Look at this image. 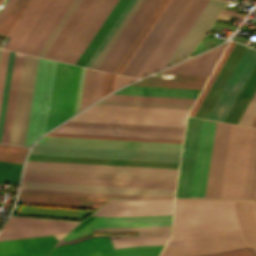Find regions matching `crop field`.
I'll use <instances>...</instances> for the list:
<instances>
[{
	"mask_svg": "<svg viewBox=\"0 0 256 256\" xmlns=\"http://www.w3.org/2000/svg\"><path fill=\"white\" fill-rule=\"evenodd\" d=\"M191 107L184 104L101 100L71 120L184 126ZM78 121H68L51 132L182 140L184 130V127L175 126Z\"/></svg>",
	"mask_w": 256,
	"mask_h": 256,
	"instance_id": "obj_1",
	"label": "crop field"
},
{
	"mask_svg": "<svg viewBox=\"0 0 256 256\" xmlns=\"http://www.w3.org/2000/svg\"><path fill=\"white\" fill-rule=\"evenodd\" d=\"M216 121L204 119L191 197H204ZM231 124L217 121L205 197L219 198ZM251 127L232 124L220 198H241Z\"/></svg>",
	"mask_w": 256,
	"mask_h": 256,
	"instance_id": "obj_2",
	"label": "crop field"
},
{
	"mask_svg": "<svg viewBox=\"0 0 256 256\" xmlns=\"http://www.w3.org/2000/svg\"><path fill=\"white\" fill-rule=\"evenodd\" d=\"M243 229L174 235L160 256H196L252 246L256 251V226L250 200L235 199ZM252 247L203 256H256Z\"/></svg>",
	"mask_w": 256,
	"mask_h": 256,
	"instance_id": "obj_3",
	"label": "crop field"
},
{
	"mask_svg": "<svg viewBox=\"0 0 256 256\" xmlns=\"http://www.w3.org/2000/svg\"><path fill=\"white\" fill-rule=\"evenodd\" d=\"M238 228L234 199H175L172 235Z\"/></svg>",
	"mask_w": 256,
	"mask_h": 256,
	"instance_id": "obj_4",
	"label": "crop field"
},
{
	"mask_svg": "<svg viewBox=\"0 0 256 256\" xmlns=\"http://www.w3.org/2000/svg\"><path fill=\"white\" fill-rule=\"evenodd\" d=\"M31 154L179 162L180 152L35 144Z\"/></svg>",
	"mask_w": 256,
	"mask_h": 256,
	"instance_id": "obj_5",
	"label": "crop field"
},
{
	"mask_svg": "<svg viewBox=\"0 0 256 256\" xmlns=\"http://www.w3.org/2000/svg\"><path fill=\"white\" fill-rule=\"evenodd\" d=\"M56 62L39 58L32 98L26 146L45 133ZM44 110V112H42Z\"/></svg>",
	"mask_w": 256,
	"mask_h": 256,
	"instance_id": "obj_6",
	"label": "crop field"
},
{
	"mask_svg": "<svg viewBox=\"0 0 256 256\" xmlns=\"http://www.w3.org/2000/svg\"><path fill=\"white\" fill-rule=\"evenodd\" d=\"M37 61V57L24 54L10 144L25 142Z\"/></svg>",
	"mask_w": 256,
	"mask_h": 256,
	"instance_id": "obj_7",
	"label": "crop field"
},
{
	"mask_svg": "<svg viewBox=\"0 0 256 256\" xmlns=\"http://www.w3.org/2000/svg\"><path fill=\"white\" fill-rule=\"evenodd\" d=\"M78 223L80 222L11 216L0 233V240L68 232Z\"/></svg>",
	"mask_w": 256,
	"mask_h": 256,
	"instance_id": "obj_8",
	"label": "crop field"
},
{
	"mask_svg": "<svg viewBox=\"0 0 256 256\" xmlns=\"http://www.w3.org/2000/svg\"><path fill=\"white\" fill-rule=\"evenodd\" d=\"M202 121L188 117L175 197H190Z\"/></svg>",
	"mask_w": 256,
	"mask_h": 256,
	"instance_id": "obj_9",
	"label": "crop field"
},
{
	"mask_svg": "<svg viewBox=\"0 0 256 256\" xmlns=\"http://www.w3.org/2000/svg\"><path fill=\"white\" fill-rule=\"evenodd\" d=\"M256 63V50L247 47L208 118L224 121L242 86Z\"/></svg>",
	"mask_w": 256,
	"mask_h": 256,
	"instance_id": "obj_10",
	"label": "crop field"
},
{
	"mask_svg": "<svg viewBox=\"0 0 256 256\" xmlns=\"http://www.w3.org/2000/svg\"><path fill=\"white\" fill-rule=\"evenodd\" d=\"M25 168L134 174V175H151V176H168V177H176L177 171H178V169H169V168H150V167L36 162V161H27Z\"/></svg>",
	"mask_w": 256,
	"mask_h": 256,
	"instance_id": "obj_11",
	"label": "crop field"
},
{
	"mask_svg": "<svg viewBox=\"0 0 256 256\" xmlns=\"http://www.w3.org/2000/svg\"><path fill=\"white\" fill-rule=\"evenodd\" d=\"M173 199L119 200L110 199L91 215L136 216L172 214Z\"/></svg>",
	"mask_w": 256,
	"mask_h": 256,
	"instance_id": "obj_12",
	"label": "crop field"
},
{
	"mask_svg": "<svg viewBox=\"0 0 256 256\" xmlns=\"http://www.w3.org/2000/svg\"><path fill=\"white\" fill-rule=\"evenodd\" d=\"M226 3L218 0L208 2L164 67L188 57Z\"/></svg>",
	"mask_w": 256,
	"mask_h": 256,
	"instance_id": "obj_13",
	"label": "crop field"
},
{
	"mask_svg": "<svg viewBox=\"0 0 256 256\" xmlns=\"http://www.w3.org/2000/svg\"><path fill=\"white\" fill-rule=\"evenodd\" d=\"M22 181L174 189L176 182L24 174Z\"/></svg>",
	"mask_w": 256,
	"mask_h": 256,
	"instance_id": "obj_14",
	"label": "crop field"
},
{
	"mask_svg": "<svg viewBox=\"0 0 256 256\" xmlns=\"http://www.w3.org/2000/svg\"><path fill=\"white\" fill-rule=\"evenodd\" d=\"M208 1L194 0L142 76L163 68Z\"/></svg>",
	"mask_w": 256,
	"mask_h": 256,
	"instance_id": "obj_15",
	"label": "crop field"
},
{
	"mask_svg": "<svg viewBox=\"0 0 256 256\" xmlns=\"http://www.w3.org/2000/svg\"><path fill=\"white\" fill-rule=\"evenodd\" d=\"M169 236H110L116 256H157Z\"/></svg>",
	"mask_w": 256,
	"mask_h": 256,
	"instance_id": "obj_16",
	"label": "crop field"
},
{
	"mask_svg": "<svg viewBox=\"0 0 256 256\" xmlns=\"http://www.w3.org/2000/svg\"><path fill=\"white\" fill-rule=\"evenodd\" d=\"M245 49L246 46L235 43L224 65L197 110L195 114L196 117L207 118Z\"/></svg>",
	"mask_w": 256,
	"mask_h": 256,
	"instance_id": "obj_17",
	"label": "crop field"
},
{
	"mask_svg": "<svg viewBox=\"0 0 256 256\" xmlns=\"http://www.w3.org/2000/svg\"><path fill=\"white\" fill-rule=\"evenodd\" d=\"M110 198L19 193L17 203L96 209Z\"/></svg>",
	"mask_w": 256,
	"mask_h": 256,
	"instance_id": "obj_18",
	"label": "crop field"
},
{
	"mask_svg": "<svg viewBox=\"0 0 256 256\" xmlns=\"http://www.w3.org/2000/svg\"><path fill=\"white\" fill-rule=\"evenodd\" d=\"M57 241L53 235L0 241V256H46Z\"/></svg>",
	"mask_w": 256,
	"mask_h": 256,
	"instance_id": "obj_19",
	"label": "crop field"
},
{
	"mask_svg": "<svg viewBox=\"0 0 256 256\" xmlns=\"http://www.w3.org/2000/svg\"><path fill=\"white\" fill-rule=\"evenodd\" d=\"M20 188L173 196L174 190L22 182Z\"/></svg>",
	"mask_w": 256,
	"mask_h": 256,
	"instance_id": "obj_20",
	"label": "crop field"
},
{
	"mask_svg": "<svg viewBox=\"0 0 256 256\" xmlns=\"http://www.w3.org/2000/svg\"><path fill=\"white\" fill-rule=\"evenodd\" d=\"M69 0H51L18 52L32 55Z\"/></svg>",
	"mask_w": 256,
	"mask_h": 256,
	"instance_id": "obj_21",
	"label": "crop field"
},
{
	"mask_svg": "<svg viewBox=\"0 0 256 256\" xmlns=\"http://www.w3.org/2000/svg\"><path fill=\"white\" fill-rule=\"evenodd\" d=\"M81 243L55 248L48 256H114V248L108 236H89Z\"/></svg>",
	"mask_w": 256,
	"mask_h": 256,
	"instance_id": "obj_22",
	"label": "crop field"
},
{
	"mask_svg": "<svg viewBox=\"0 0 256 256\" xmlns=\"http://www.w3.org/2000/svg\"><path fill=\"white\" fill-rule=\"evenodd\" d=\"M28 160L74 162V163H93V164H112V165H131V166H150V167H169V168H178V164H179V163H170V162L76 158V157L39 156V155H30Z\"/></svg>",
	"mask_w": 256,
	"mask_h": 256,
	"instance_id": "obj_23",
	"label": "crop field"
},
{
	"mask_svg": "<svg viewBox=\"0 0 256 256\" xmlns=\"http://www.w3.org/2000/svg\"><path fill=\"white\" fill-rule=\"evenodd\" d=\"M68 67L67 64L57 62L46 131L59 124Z\"/></svg>",
	"mask_w": 256,
	"mask_h": 256,
	"instance_id": "obj_24",
	"label": "crop field"
},
{
	"mask_svg": "<svg viewBox=\"0 0 256 256\" xmlns=\"http://www.w3.org/2000/svg\"><path fill=\"white\" fill-rule=\"evenodd\" d=\"M130 0H119L110 14L107 16L103 24L100 26L96 34L93 36L87 47L84 49L80 57L75 62L76 65L85 66L98 45L101 43L107 32L110 30L114 22L117 20L121 12L124 10ZM89 62V61H88ZM87 65V64H86Z\"/></svg>",
	"mask_w": 256,
	"mask_h": 256,
	"instance_id": "obj_25",
	"label": "crop field"
},
{
	"mask_svg": "<svg viewBox=\"0 0 256 256\" xmlns=\"http://www.w3.org/2000/svg\"><path fill=\"white\" fill-rule=\"evenodd\" d=\"M23 54L15 52L1 143L9 144Z\"/></svg>",
	"mask_w": 256,
	"mask_h": 256,
	"instance_id": "obj_26",
	"label": "crop field"
},
{
	"mask_svg": "<svg viewBox=\"0 0 256 256\" xmlns=\"http://www.w3.org/2000/svg\"><path fill=\"white\" fill-rule=\"evenodd\" d=\"M117 0H106L102 5L98 13L95 15L91 23L88 25L86 30L83 32L79 40L76 42L70 53L65 58L64 62L72 63L76 61L85 46L88 44L96 30L99 28L105 17L108 15L112 7L115 5Z\"/></svg>",
	"mask_w": 256,
	"mask_h": 256,
	"instance_id": "obj_27",
	"label": "crop field"
},
{
	"mask_svg": "<svg viewBox=\"0 0 256 256\" xmlns=\"http://www.w3.org/2000/svg\"><path fill=\"white\" fill-rule=\"evenodd\" d=\"M207 77L175 75L174 80L149 76L132 85L202 89Z\"/></svg>",
	"mask_w": 256,
	"mask_h": 256,
	"instance_id": "obj_28",
	"label": "crop field"
},
{
	"mask_svg": "<svg viewBox=\"0 0 256 256\" xmlns=\"http://www.w3.org/2000/svg\"><path fill=\"white\" fill-rule=\"evenodd\" d=\"M161 0H151L142 15L139 17L131 31L128 33L120 47L117 49L109 63L104 68L105 71L112 72L114 67L117 65L123 54L126 52L132 41L135 39L143 25L146 23L152 12L155 10ZM116 68V67H115Z\"/></svg>",
	"mask_w": 256,
	"mask_h": 256,
	"instance_id": "obj_29",
	"label": "crop field"
},
{
	"mask_svg": "<svg viewBox=\"0 0 256 256\" xmlns=\"http://www.w3.org/2000/svg\"><path fill=\"white\" fill-rule=\"evenodd\" d=\"M105 0H93L80 21L77 23L63 46L60 48L56 56L54 57L55 60L63 61L66 57L70 49L73 47L75 42L78 40L82 32L85 30L89 22L92 20L94 15L97 13L101 5L104 3ZM72 50V49H71ZM70 53V52H69ZM65 60V59H64Z\"/></svg>",
	"mask_w": 256,
	"mask_h": 256,
	"instance_id": "obj_30",
	"label": "crop field"
},
{
	"mask_svg": "<svg viewBox=\"0 0 256 256\" xmlns=\"http://www.w3.org/2000/svg\"><path fill=\"white\" fill-rule=\"evenodd\" d=\"M179 1L180 0H171L168 3V5L164 9L158 20L156 21V23L153 25V27L151 28L143 42L140 44V46L138 47V49L136 50L128 64L125 66L121 74L129 75L131 70L134 68L140 57L143 55V53L145 52L149 44L152 42V40L154 39L160 28L163 26V24L165 23L169 15L172 13V11L174 10Z\"/></svg>",
	"mask_w": 256,
	"mask_h": 256,
	"instance_id": "obj_31",
	"label": "crop field"
},
{
	"mask_svg": "<svg viewBox=\"0 0 256 256\" xmlns=\"http://www.w3.org/2000/svg\"><path fill=\"white\" fill-rule=\"evenodd\" d=\"M200 90L128 86L115 93L197 98Z\"/></svg>",
	"mask_w": 256,
	"mask_h": 256,
	"instance_id": "obj_32",
	"label": "crop field"
},
{
	"mask_svg": "<svg viewBox=\"0 0 256 256\" xmlns=\"http://www.w3.org/2000/svg\"><path fill=\"white\" fill-rule=\"evenodd\" d=\"M226 45L227 43L209 52L183 61L171 68L212 71L215 63L217 62Z\"/></svg>",
	"mask_w": 256,
	"mask_h": 256,
	"instance_id": "obj_33",
	"label": "crop field"
},
{
	"mask_svg": "<svg viewBox=\"0 0 256 256\" xmlns=\"http://www.w3.org/2000/svg\"><path fill=\"white\" fill-rule=\"evenodd\" d=\"M80 69L81 67H78V66L70 65L69 67V73H68V79H67V85H66V91H65V97H64V103H63L60 122H62L63 120L73 115Z\"/></svg>",
	"mask_w": 256,
	"mask_h": 256,
	"instance_id": "obj_34",
	"label": "crop field"
},
{
	"mask_svg": "<svg viewBox=\"0 0 256 256\" xmlns=\"http://www.w3.org/2000/svg\"><path fill=\"white\" fill-rule=\"evenodd\" d=\"M169 1L170 0H162L160 2L158 7L153 12L147 23L144 25V27L142 28L136 39L133 41L127 52L124 54L116 68L113 70V73L120 74L124 66L127 64L129 59L131 58V56L133 55L139 44L142 42V40L144 39V37L146 36V34L148 33L152 25L155 23V21L157 20V18L159 17V15L161 14V12L163 11V9L165 8Z\"/></svg>",
	"mask_w": 256,
	"mask_h": 256,
	"instance_id": "obj_35",
	"label": "crop field"
},
{
	"mask_svg": "<svg viewBox=\"0 0 256 256\" xmlns=\"http://www.w3.org/2000/svg\"><path fill=\"white\" fill-rule=\"evenodd\" d=\"M91 1L92 0L81 1V3L79 4L75 12L72 14L70 19L68 20V22L66 23L62 31L60 32V34L57 36V38L55 39V41L53 42L49 50L44 55V57L53 59V57L55 56L59 48L62 46V44L64 43V41L66 40V38L68 37L72 29L74 28L78 20L81 18V16L85 12L89 4L91 3Z\"/></svg>",
	"mask_w": 256,
	"mask_h": 256,
	"instance_id": "obj_36",
	"label": "crop field"
},
{
	"mask_svg": "<svg viewBox=\"0 0 256 256\" xmlns=\"http://www.w3.org/2000/svg\"><path fill=\"white\" fill-rule=\"evenodd\" d=\"M242 198L256 199V128L253 130Z\"/></svg>",
	"mask_w": 256,
	"mask_h": 256,
	"instance_id": "obj_37",
	"label": "crop field"
},
{
	"mask_svg": "<svg viewBox=\"0 0 256 256\" xmlns=\"http://www.w3.org/2000/svg\"><path fill=\"white\" fill-rule=\"evenodd\" d=\"M24 173L176 181V178L25 169Z\"/></svg>",
	"mask_w": 256,
	"mask_h": 256,
	"instance_id": "obj_38",
	"label": "crop field"
},
{
	"mask_svg": "<svg viewBox=\"0 0 256 256\" xmlns=\"http://www.w3.org/2000/svg\"><path fill=\"white\" fill-rule=\"evenodd\" d=\"M187 1L188 0H181L179 2V4L177 5V7L173 11V13L170 15V17L168 18V20L166 21L164 26L161 28V30L159 31V33L157 34V36L155 37L153 42L150 44V46L148 47V49L146 50V52L144 53L142 58L139 60V62L137 63V65L135 66V68L133 69V71L131 72L130 75L136 76L138 71L141 69V67L143 66V64L147 60V58L150 56V54L152 53V51L154 50L156 45L159 43V41L161 40V38L163 37V35L167 31V29L170 27V25L172 24V22L174 21V19L179 14V12L181 11V9L183 8V6L185 5V3Z\"/></svg>",
	"mask_w": 256,
	"mask_h": 256,
	"instance_id": "obj_39",
	"label": "crop field"
},
{
	"mask_svg": "<svg viewBox=\"0 0 256 256\" xmlns=\"http://www.w3.org/2000/svg\"><path fill=\"white\" fill-rule=\"evenodd\" d=\"M80 1L81 0H73L71 2V4L67 8V10L63 14V16L60 18V20L58 21V23L56 24V26L54 27L52 32L49 34V36L47 37V39L45 40V42L43 43V45L39 49V51L36 53L37 56L43 57V55L45 54L47 49L50 47V45L52 44V42L54 41V39L56 38L58 33L61 31V29L63 28V26L65 25V23L67 22V20L71 16V14L74 12V10L76 9V7L80 3Z\"/></svg>",
	"mask_w": 256,
	"mask_h": 256,
	"instance_id": "obj_40",
	"label": "crop field"
},
{
	"mask_svg": "<svg viewBox=\"0 0 256 256\" xmlns=\"http://www.w3.org/2000/svg\"><path fill=\"white\" fill-rule=\"evenodd\" d=\"M150 0H143V2L141 3V5L139 6V8L137 9V11L135 12V14L132 16V18L130 19V21L128 22V24L126 25V27L124 28V30L121 32V34L119 35V37L117 38V40L115 41V43L113 44V46L110 48V50L108 51V53L106 54V56L104 57V59L102 60V62L99 64V66L97 67V69L99 70H103V68L105 67V65L107 64V62L110 60V58L112 57V55L114 54V52L116 51V49L118 48V46L121 44V42L123 41V39L125 38V36L127 35V33L129 32V30L132 28V26L134 25V23L136 22V20L138 19V17L140 16V14L143 12V10L145 9V7L147 6V4L149 3Z\"/></svg>",
	"mask_w": 256,
	"mask_h": 256,
	"instance_id": "obj_41",
	"label": "crop field"
},
{
	"mask_svg": "<svg viewBox=\"0 0 256 256\" xmlns=\"http://www.w3.org/2000/svg\"><path fill=\"white\" fill-rule=\"evenodd\" d=\"M31 1L32 0H19L17 2L11 13L0 27V34L8 36Z\"/></svg>",
	"mask_w": 256,
	"mask_h": 256,
	"instance_id": "obj_42",
	"label": "crop field"
},
{
	"mask_svg": "<svg viewBox=\"0 0 256 256\" xmlns=\"http://www.w3.org/2000/svg\"><path fill=\"white\" fill-rule=\"evenodd\" d=\"M171 226L131 227V228H96L95 231L128 232L139 231L140 235H169Z\"/></svg>",
	"mask_w": 256,
	"mask_h": 256,
	"instance_id": "obj_43",
	"label": "crop field"
},
{
	"mask_svg": "<svg viewBox=\"0 0 256 256\" xmlns=\"http://www.w3.org/2000/svg\"><path fill=\"white\" fill-rule=\"evenodd\" d=\"M142 2V0H137L135 2V4L132 6V8L130 9V11L128 12V14L126 15V17L123 19V21L121 22V24L119 25V27L116 29V31L114 32V34L112 35V37L109 39V41L107 42V44L105 45V47L103 48V50L100 52V54L98 55V57L96 58V60L93 62V64L91 65V68L96 69V67L98 66V64L100 63V61L103 59V57L105 56V54L107 53V51L109 50V48L111 47V45L114 43V41L116 40V38L118 37V35L120 34V32L122 31V29L125 27V25L127 24V22L129 21V19L131 18V16L133 15V13L136 11V9L138 8V6L140 5V3Z\"/></svg>",
	"mask_w": 256,
	"mask_h": 256,
	"instance_id": "obj_44",
	"label": "crop field"
},
{
	"mask_svg": "<svg viewBox=\"0 0 256 256\" xmlns=\"http://www.w3.org/2000/svg\"><path fill=\"white\" fill-rule=\"evenodd\" d=\"M28 148L0 144V160L23 162Z\"/></svg>",
	"mask_w": 256,
	"mask_h": 256,
	"instance_id": "obj_45",
	"label": "crop field"
},
{
	"mask_svg": "<svg viewBox=\"0 0 256 256\" xmlns=\"http://www.w3.org/2000/svg\"><path fill=\"white\" fill-rule=\"evenodd\" d=\"M233 45H234V42H232V41H231V42L229 43V45H228L227 49L225 50V52H224L223 56L221 57V59H220L219 63L217 64V66H216L215 70L213 71V73H212V75H211L210 79L208 80V82H207L206 86L204 87V89H203L202 93L200 94V96H199L198 100L196 101V103H195L194 107L192 108V110H191V112H190V114H189V115L194 116V114H195L196 110L198 109V107H199L200 103L202 102V100H203V98H204L205 94L207 93V91H208L209 87L211 86V84H212L213 80L215 79V77H216L217 73L219 72V70H220L221 66L223 65V63H224V61H225L226 57L228 56V54H229L230 50H231V49H232V47H233Z\"/></svg>",
	"mask_w": 256,
	"mask_h": 256,
	"instance_id": "obj_46",
	"label": "crop field"
},
{
	"mask_svg": "<svg viewBox=\"0 0 256 256\" xmlns=\"http://www.w3.org/2000/svg\"><path fill=\"white\" fill-rule=\"evenodd\" d=\"M193 2V0H189L186 5L184 6V8L182 9V11L180 12V14L177 16V18L175 19V21L173 22V24L171 25V27L168 29V31L166 32V34L164 35V37L162 38V40L160 41V43L157 45V47L155 48V50L153 51V53L151 54V56L148 58V60L146 61V63L144 64V66L142 67V69L139 71V73L137 74L138 77H141V75L143 74V72L146 70V68L148 67V65L150 64V62L152 61V59L155 57V55L157 54V52L159 51V49L161 48V46L164 44V42L166 41V39L168 38V36L170 35V33L172 32V30L175 28V26L177 25V23L179 22V20L181 19V17L184 15V13L186 12V10L188 9V7L190 6V4Z\"/></svg>",
	"mask_w": 256,
	"mask_h": 256,
	"instance_id": "obj_47",
	"label": "crop field"
},
{
	"mask_svg": "<svg viewBox=\"0 0 256 256\" xmlns=\"http://www.w3.org/2000/svg\"><path fill=\"white\" fill-rule=\"evenodd\" d=\"M13 55H14V52L10 51L9 60H8V67H7V74H6V80H5V87H4V93H3V100H2V106H1V113H0V140H1V134H2V127H3V120H4L7 94H8V88H9V81H10Z\"/></svg>",
	"mask_w": 256,
	"mask_h": 256,
	"instance_id": "obj_48",
	"label": "crop field"
},
{
	"mask_svg": "<svg viewBox=\"0 0 256 256\" xmlns=\"http://www.w3.org/2000/svg\"><path fill=\"white\" fill-rule=\"evenodd\" d=\"M136 0H131L130 3L127 5V7L125 8V10L123 11V13L121 14V16L118 18V20L116 21V23L114 24V26L111 28V30L109 31V33L107 34V36L104 38V40L102 41V43L100 44V46L98 47V49L96 50V52L93 54V56L91 57V59L89 60V62L87 63V67H90V65L92 64V62L95 60V58L97 57V55L99 54V52L102 50V48L104 47V45L106 44V42L108 41V39L111 37V35L113 34V32L115 31V29L118 27V25L120 24V22L122 21V19L125 17V15L127 14V12L129 11V9L131 8V6L134 4Z\"/></svg>",
	"mask_w": 256,
	"mask_h": 256,
	"instance_id": "obj_49",
	"label": "crop field"
},
{
	"mask_svg": "<svg viewBox=\"0 0 256 256\" xmlns=\"http://www.w3.org/2000/svg\"><path fill=\"white\" fill-rule=\"evenodd\" d=\"M20 191H36V192L67 193V194L102 195V196L119 197V198H171V197H160V196H137V195H119V194H101V193L47 191V190H29V189H20Z\"/></svg>",
	"mask_w": 256,
	"mask_h": 256,
	"instance_id": "obj_50",
	"label": "crop field"
},
{
	"mask_svg": "<svg viewBox=\"0 0 256 256\" xmlns=\"http://www.w3.org/2000/svg\"><path fill=\"white\" fill-rule=\"evenodd\" d=\"M47 135H53V136H70V137H88V138H105V139H122V140H139V141H157V142H174V143H182V141H174V140H157V139H141V138H124V137L90 136V135H74V134H57V133H48Z\"/></svg>",
	"mask_w": 256,
	"mask_h": 256,
	"instance_id": "obj_51",
	"label": "crop field"
},
{
	"mask_svg": "<svg viewBox=\"0 0 256 256\" xmlns=\"http://www.w3.org/2000/svg\"><path fill=\"white\" fill-rule=\"evenodd\" d=\"M160 73L165 74H183V75H201V76H209L210 72L204 71H189V70H175V69H166Z\"/></svg>",
	"mask_w": 256,
	"mask_h": 256,
	"instance_id": "obj_52",
	"label": "crop field"
},
{
	"mask_svg": "<svg viewBox=\"0 0 256 256\" xmlns=\"http://www.w3.org/2000/svg\"><path fill=\"white\" fill-rule=\"evenodd\" d=\"M104 76L105 73L98 71L93 102L101 98Z\"/></svg>",
	"mask_w": 256,
	"mask_h": 256,
	"instance_id": "obj_53",
	"label": "crop field"
},
{
	"mask_svg": "<svg viewBox=\"0 0 256 256\" xmlns=\"http://www.w3.org/2000/svg\"><path fill=\"white\" fill-rule=\"evenodd\" d=\"M135 80L137 79L116 75L114 90Z\"/></svg>",
	"mask_w": 256,
	"mask_h": 256,
	"instance_id": "obj_54",
	"label": "crop field"
},
{
	"mask_svg": "<svg viewBox=\"0 0 256 256\" xmlns=\"http://www.w3.org/2000/svg\"><path fill=\"white\" fill-rule=\"evenodd\" d=\"M84 71H85V68L82 67L81 76H80V82H79V88H78V94H77V100H76V106H75V112L74 113L78 112V108H79V102H80V96H81V89H82Z\"/></svg>",
	"mask_w": 256,
	"mask_h": 256,
	"instance_id": "obj_55",
	"label": "crop field"
},
{
	"mask_svg": "<svg viewBox=\"0 0 256 256\" xmlns=\"http://www.w3.org/2000/svg\"><path fill=\"white\" fill-rule=\"evenodd\" d=\"M72 0L69 1V3L67 4V6L64 8V10L62 11V13L60 14V16L58 17V19L56 20V22L53 24V26L51 27V29L49 30V32L47 33V35L44 37V39L42 40V42L40 43V45L38 46V48L35 50V52L33 53V55H35V53L37 52V50L39 49V47L42 45V43L44 42V40L46 39V37L48 36V34L50 33V31L53 29V27L55 26V24L57 23V21L59 20V18L61 17V15L64 13V11L66 10V8L68 7V5L70 4ZM39 51V50H38Z\"/></svg>",
	"mask_w": 256,
	"mask_h": 256,
	"instance_id": "obj_56",
	"label": "crop field"
},
{
	"mask_svg": "<svg viewBox=\"0 0 256 256\" xmlns=\"http://www.w3.org/2000/svg\"><path fill=\"white\" fill-rule=\"evenodd\" d=\"M251 205H252L253 216H254L255 223H256V205H255V201L254 200H251Z\"/></svg>",
	"mask_w": 256,
	"mask_h": 256,
	"instance_id": "obj_57",
	"label": "crop field"
},
{
	"mask_svg": "<svg viewBox=\"0 0 256 256\" xmlns=\"http://www.w3.org/2000/svg\"><path fill=\"white\" fill-rule=\"evenodd\" d=\"M251 126L256 127V117H255V119L253 120V122H252Z\"/></svg>",
	"mask_w": 256,
	"mask_h": 256,
	"instance_id": "obj_58",
	"label": "crop field"
},
{
	"mask_svg": "<svg viewBox=\"0 0 256 256\" xmlns=\"http://www.w3.org/2000/svg\"><path fill=\"white\" fill-rule=\"evenodd\" d=\"M2 2V0H0V3Z\"/></svg>",
	"mask_w": 256,
	"mask_h": 256,
	"instance_id": "obj_59",
	"label": "crop field"
},
{
	"mask_svg": "<svg viewBox=\"0 0 256 256\" xmlns=\"http://www.w3.org/2000/svg\"><path fill=\"white\" fill-rule=\"evenodd\" d=\"M256 201V200H255Z\"/></svg>",
	"mask_w": 256,
	"mask_h": 256,
	"instance_id": "obj_60",
	"label": "crop field"
}]
</instances>
